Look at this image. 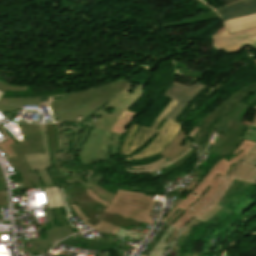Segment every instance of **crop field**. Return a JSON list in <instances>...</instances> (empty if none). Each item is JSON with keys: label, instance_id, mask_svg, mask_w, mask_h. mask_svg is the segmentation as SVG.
Listing matches in <instances>:
<instances>
[{"label": "crop field", "instance_id": "obj_21", "mask_svg": "<svg viewBox=\"0 0 256 256\" xmlns=\"http://www.w3.org/2000/svg\"><path fill=\"white\" fill-rule=\"evenodd\" d=\"M60 243H64V244H68V245H72V246L96 249V250H100V251H109V252H111V249L113 247V244L97 242V241L79 237L77 235L67 238V239L61 241Z\"/></svg>", "mask_w": 256, "mask_h": 256}, {"label": "crop field", "instance_id": "obj_16", "mask_svg": "<svg viewBox=\"0 0 256 256\" xmlns=\"http://www.w3.org/2000/svg\"><path fill=\"white\" fill-rule=\"evenodd\" d=\"M27 141L11 145L17 155L44 152L38 126L19 123Z\"/></svg>", "mask_w": 256, "mask_h": 256}, {"label": "crop field", "instance_id": "obj_37", "mask_svg": "<svg viewBox=\"0 0 256 256\" xmlns=\"http://www.w3.org/2000/svg\"><path fill=\"white\" fill-rule=\"evenodd\" d=\"M35 188H45L37 171L28 173Z\"/></svg>", "mask_w": 256, "mask_h": 256}, {"label": "crop field", "instance_id": "obj_39", "mask_svg": "<svg viewBox=\"0 0 256 256\" xmlns=\"http://www.w3.org/2000/svg\"><path fill=\"white\" fill-rule=\"evenodd\" d=\"M70 207L74 210V212L79 216V218L82 220V222H83L85 225H87V226L93 228V227L87 222L89 219L82 213V211H81L75 204L70 205Z\"/></svg>", "mask_w": 256, "mask_h": 256}, {"label": "crop field", "instance_id": "obj_22", "mask_svg": "<svg viewBox=\"0 0 256 256\" xmlns=\"http://www.w3.org/2000/svg\"><path fill=\"white\" fill-rule=\"evenodd\" d=\"M94 113L92 110L81 106L58 112L59 121H75L83 124L84 120ZM57 122V121H56Z\"/></svg>", "mask_w": 256, "mask_h": 256}, {"label": "crop field", "instance_id": "obj_3", "mask_svg": "<svg viewBox=\"0 0 256 256\" xmlns=\"http://www.w3.org/2000/svg\"><path fill=\"white\" fill-rule=\"evenodd\" d=\"M120 137V134L90 127L82 129L80 141L76 148V151H79L82 165L86 166L112 159L110 155L117 154Z\"/></svg>", "mask_w": 256, "mask_h": 256}, {"label": "crop field", "instance_id": "obj_1", "mask_svg": "<svg viewBox=\"0 0 256 256\" xmlns=\"http://www.w3.org/2000/svg\"><path fill=\"white\" fill-rule=\"evenodd\" d=\"M176 104L177 102L172 100L165 110L157 117L150 129L131 124L124 137L121 155H128L141 147L151 139L155 132L160 134L144 150L133 157L125 159L126 161L143 159L155 155L172 142L181 126L177 122L165 120L164 118Z\"/></svg>", "mask_w": 256, "mask_h": 256}, {"label": "crop field", "instance_id": "obj_56", "mask_svg": "<svg viewBox=\"0 0 256 256\" xmlns=\"http://www.w3.org/2000/svg\"><path fill=\"white\" fill-rule=\"evenodd\" d=\"M2 95H3V92L0 91V98H1Z\"/></svg>", "mask_w": 256, "mask_h": 256}, {"label": "crop field", "instance_id": "obj_29", "mask_svg": "<svg viewBox=\"0 0 256 256\" xmlns=\"http://www.w3.org/2000/svg\"><path fill=\"white\" fill-rule=\"evenodd\" d=\"M44 190L45 201L48 208L64 206L58 187L46 188Z\"/></svg>", "mask_w": 256, "mask_h": 256}, {"label": "crop field", "instance_id": "obj_48", "mask_svg": "<svg viewBox=\"0 0 256 256\" xmlns=\"http://www.w3.org/2000/svg\"><path fill=\"white\" fill-rule=\"evenodd\" d=\"M178 232H179V231L174 228L173 232H172L171 235L167 238V240H166L165 243L170 244V242H171L172 239L177 240V238H178L177 233H178Z\"/></svg>", "mask_w": 256, "mask_h": 256}, {"label": "crop field", "instance_id": "obj_55", "mask_svg": "<svg viewBox=\"0 0 256 256\" xmlns=\"http://www.w3.org/2000/svg\"><path fill=\"white\" fill-rule=\"evenodd\" d=\"M252 126H256V115H255V118H254V120L252 122Z\"/></svg>", "mask_w": 256, "mask_h": 256}, {"label": "crop field", "instance_id": "obj_47", "mask_svg": "<svg viewBox=\"0 0 256 256\" xmlns=\"http://www.w3.org/2000/svg\"><path fill=\"white\" fill-rule=\"evenodd\" d=\"M199 223H200V221H197V220L193 219V220L190 222V224L186 227V229L183 231L182 235L188 237L189 234H190L189 231H191V227H192L193 225H198Z\"/></svg>", "mask_w": 256, "mask_h": 256}, {"label": "crop field", "instance_id": "obj_6", "mask_svg": "<svg viewBox=\"0 0 256 256\" xmlns=\"http://www.w3.org/2000/svg\"><path fill=\"white\" fill-rule=\"evenodd\" d=\"M241 100L248 104L256 101V83L243 87L233 95L223 100L196 125V127L200 129L194 136L193 140L198 148L202 145L203 141L209 134L207 129L211 127L221 116L225 117V115L236 107Z\"/></svg>", "mask_w": 256, "mask_h": 256}, {"label": "crop field", "instance_id": "obj_52", "mask_svg": "<svg viewBox=\"0 0 256 256\" xmlns=\"http://www.w3.org/2000/svg\"><path fill=\"white\" fill-rule=\"evenodd\" d=\"M176 168H178L177 166H175L174 164H172V165H170V166H168V167H166V168H164L167 172H170V171H172V170H174V169H176Z\"/></svg>", "mask_w": 256, "mask_h": 256}, {"label": "crop field", "instance_id": "obj_40", "mask_svg": "<svg viewBox=\"0 0 256 256\" xmlns=\"http://www.w3.org/2000/svg\"><path fill=\"white\" fill-rule=\"evenodd\" d=\"M0 176H2L1 170ZM4 190H6L5 181L3 178H0V206L6 205Z\"/></svg>", "mask_w": 256, "mask_h": 256}, {"label": "crop field", "instance_id": "obj_43", "mask_svg": "<svg viewBox=\"0 0 256 256\" xmlns=\"http://www.w3.org/2000/svg\"><path fill=\"white\" fill-rule=\"evenodd\" d=\"M56 129H57V139H58V151H63L62 137H61V123L56 124Z\"/></svg>", "mask_w": 256, "mask_h": 256}, {"label": "crop field", "instance_id": "obj_25", "mask_svg": "<svg viewBox=\"0 0 256 256\" xmlns=\"http://www.w3.org/2000/svg\"><path fill=\"white\" fill-rule=\"evenodd\" d=\"M44 211H45V213L50 221L51 227H52V229L45 230L47 239L58 242V241L64 239L65 237L73 234L67 229L66 226L56 227L53 225V219H55V218H54V215H53L51 209H45Z\"/></svg>", "mask_w": 256, "mask_h": 256}, {"label": "crop field", "instance_id": "obj_41", "mask_svg": "<svg viewBox=\"0 0 256 256\" xmlns=\"http://www.w3.org/2000/svg\"><path fill=\"white\" fill-rule=\"evenodd\" d=\"M246 128H248L249 130H252V131H256V127L247 126ZM242 137L256 141V133L255 132H251V131L246 132L245 131Z\"/></svg>", "mask_w": 256, "mask_h": 256}, {"label": "crop field", "instance_id": "obj_50", "mask_svg": "<svg viewBox=\"0 0 256 256\" xmlns=\"http://www.w3.org/2000/svg\"><path fill=\"white\" fill-rule=\"evenodd\" d=\"M206 171L195 169L192 175L198 176L203 179V177L206 175Z\"/></svg>", "mask_w": 256, "mask_h": 256}, {"label": "crop field", "instance_id": "obj_9", "mask_svg": "<svg viewBox=\"0 0 256 256\" xmlns=\"http://www.w3.org/2000/svg\"><path fill=\"white\" fill-rule=\"evenodd\" d=\"M58 169L67 183L80 182L85 189L91 188L97 195L111 202L114 194L97 185L106 179L104 174H100L89 166L84 167L82 165H70Z\"/></svg>", "mask_w": 256, "mask_h": 256}, {"label": "crop field", "instance_id": "obj_42", "mask_svg": "<svg viewBox=\"0 0 256 256\" xmlns=\"http://www.w3.org/2000/svg\"><path fill=\"white\" fill-rule=\"evenodd\" d=\"M0 90L21 91V90H26V87H13L0 82Z\"/></svg>", "mask_w": 256, "mask_h": 256}, {"label": "crop field", "instance_id": "obj_33", "mask_svg": "<svg viewBox=\"0 0 256 256\" xmlns=\"http://www.w3.org/2000/svg\"><path fill=\"white\" fill-rule=\"evenodd\" d=\"M0 130L2 131V133L4 134V136L6 137V141H4L3 143L0 144V148L2 149L3 153L5 154V156L8 157H12V156H16L15 153L13 152V150L10 148L9 145L14 144L13 140L6 134L5 130L3 129V127L0 124Z\"/></svg>", "mask_w": 256, "mask_h": 256}, {"label": "crop field", "instance_id": "obj_32", "mask_svg": "<svg viewBox=\"0 0 256 256\" xmlns=\"http://www.w3.org/2000/svg\"><path fill=\"white\" fill-rule=\"evenodd\" d=\"M47 136L50 145V152L57 151V139L55 124H46Z\"/></svg>", "mask_w": 256, "mask_h": 256}, {"label": "crop field", "instance_id": "obj_15", "mask_svg": "<svg viewBox=\"0 0 256 256\" xmlns=\"http://www.w3.org/2000/svg\"><path fill=\"white\" fill-rule=\"evenodd\" d=\"M226 177L221 175H217L216 179L213 181L211 186L206 190V192L202 195V197L195 202L192 206L185 210V212L176 219L171 226L176 228H181L184 226L190 219H192L206 204L210 202L212 197L218 191L222 183L225 181Z\"/></svg>", "mask_w": 256, "mask_h": 256}, {"label": "crop field", "instance_id": "obj_49", "mask_svg": "<svg viewBox=\"0 0 256 256\" xmlns=\"http://www.w3.org/2000/svg\"><path fill=\"white\" fill-rule=\"evenodd\" d=\"M184 211L179 209L168 221H166L165 223L167 224H171L179 215H181Z\"/></svg>", "mask_w": 256, "mask_h": 256}, {"label": "crop field", "instance_id": "obj_18", "mask_svg": "<svg viewBox=\"0 0 256 256\" xmlns=\"http://www.w3.org/2000/svg\"><path fill=\"white\" fill-rule=\"evenodd\" d=\"M223 21L243 15L256 13V0H243L216 10Z\"/></svg>", "mask_w": 256, "mask_h": 256}, {"label": "crop field", "instance_id": "obj_35", "mask_svg": "<svg viewBox=\"0 0 256 256\" xmlns=\"http://www.w3.org/2000/svg\"><path fill=\"white\" fill-rule=\"evenodd\" d=\"M119 226L111 225L106 222L101 221L95 228L94 230L106 232L109 234L115 235L116 232L119 230Z\"/></svg>", "mask_w": 256, "mask_h": 256}, {"label": "crop field", "instance_id": "obj_20", "mask_svg": "<svg viewBox=\"0 0 256 256\" xmlns=\"http://www.w3.org/2000/svg\"><path fill=\"white\" fill-rule=\"evenodd\" d=\"M186 136V133L183 131V129H181V131L178 133L177 137L173 140V142L159 154H161L162 156L166 157L171 161L180 153L184 152L187 147L191 148L193 143L190 141L189 138L183 146L180 145Z\"/></svg>", "mask_w": 256, "mask_h": 256}, {"label": "crop field", "instance_id": "obj_2", "mask_svg": "<svg viewBox=\"0 0 256 256\" xmlns=\"http://www.w3.org/2000/svg\"><path fill=\"white\" fill-rule=\"evenodd\" d=\"M89 197L106 206V212L140 221L143 224L154 225L150 213L155 201L162 202L163 197L145 196L142 193L120 190L114 196L111 203L97 196L91 189L86 190Z\"/></svg>", "mask_w": 256, "mask_h": 256}, {"label": "crop field", "instance_id": "obj_51", "mask_svg": "<svg viewBox=\"0 0 256 256\" xmlns=\"http://www.w3.org/2000/svg\"><path fill=\"white\" fill-rule=\"evenodd\" d=\"M167 247H168V244L163 243V245L160 247V249L155 254V256H161L165 252Z\"/></svg>", "mask_w": 256, "mask_h": 256}, {"label": "crop field", "instance_id": "obj_4", "mask_svg": "<svg viewBox=\"0 0 256 256\" xmlns=\"http://www.w3.org/2000/svg\"><path fill=\"white\" fill-rule=\"evenodd\" d=\"M128 83L123 77L113 82L80 91L67 93L69 100L50 104L52 112L85 105L97 111ZM92 95V97H90ZM104 106V105H103Z\"/></svg>", "mask_w": 256, "mask_h": 256}, {"label": "crop field", "instance_id": "obj_10", "mask_svg": "<svg viewBox=\"0 0 256 256\" xmlns=\"http://www.w3.org/2000/svg\"><path fill=\"white\" fill-rule=\"evenodd\" d=\"M234 179L256 184V166L250 165L242 161L239 166L234 170L232 175L229 176V178L226 180L214 200L205 209H203L195 219L206 222L210 217H212L218 210L222 208L217 204Z\"/></svg>", "mask_w": 256, "mask_h": 256}, {"label": "crop field", "instance_id": "obj_44", "mask_svg": "<svg viewBox=\"0 0 256 256\" xmlns=\"http://www.w3.org/2000/svg\"><path fill=\"white\" fill-rule=\"evenodd\" d=\"M196 152L195 148L190 150L183 158H181L179 161H177L176 164L178 167L182 165L184 162H186L194 153Z\"/></svg>", "mask_w": 256, "mask_h": 256}, {"label": "crop field", "instance_id": "obj_30", "mask_svg": "<svg viewBox=\"0 0 256 256\" xmlns=\"http://www.w3.org/2000/svg\"><path fill=\"white\" fill-rule=\"evenodd\" d=\"M213 19H219V16L215 11L210 12L205 15H200V16H196L193 18L183 20V21H179V22H176L173 24L164 25L163 27L167 28V27H171V26L189 25L191 23L201 22V21H206V20H213Z\"/></svg>", "mask_w": 256, "mask_h": 256}, {"label": "crop field", "instance_id": "obj_28", "mask_svg": "<svg viewBox=\"0 0 256 256\" xmlns=\"http://www.w3.org/2000/svg\"><path fill=\"white\" fill-rule=\"evenodd\" d=\"M40 97L37 98H2L0 108L5 110L19 109L23 104H39Z\"/></svg>", "mask_w": 256, "mask_h": 256}, {"label": "crop field", "instance_id": "obj_5", "mask_svg": "<svg viewBox=\"0 0 256 256\" xmlns=\"http://www.w3.org/2000/svg\"><path fill=\"white\" fill-rule=\"evenodd\" d=\"M249 105L241 103L234 108L230 113L227 114L225 118H220L210 129L211 132L207 139L204 141L203 145L198 149L199 155L204 151L205 147L209 143L212 137V132L219 126L223 127L222 133L226 134L223 140L219 143L217 148L212 152L213 154L220 155L222 153L231 154L232 151L241 143L242 134L246 126L240 125L242 118L249 109Z\"/></svg>", "mask_w": 256, "mask_h": 256}, {"label": "crop field", "instance_id": "obj_53", "mask_svg": "<svg viewBox=\"0 0 256 256\" xmlns=\"http://www.w3.org/2000/svg\"><path fill=\"white\" fill-rule=\"evenodd\" d=\"M222 2V4L225 6V5H228L232 2H235V1H238V0H220Z\"/></svg>", "mask_w": 256, "mask_h": 256}, {"label": "crop field", "instance_id": "obj_23", "mask_svg": "<svg viewBox=\"0 0 256 256\" xmlns=\"http://www.w3.org/2000/svg\"><path fill=\"white\" fill-rule=\"evenodd\" d=\"M188 150H189V148H187V150L184 153L180 154L178 157H176L171 162L168 161L167 159L163 158V159L155 161L149 165L138 166V167H126L124 169L127 172L132 173V174H148V173L154 172L158 169H161V168L175 162L177 159H179L181 156H183Z\"/></svg>", "mask_w": 256, "mask_h": 256}, {"label": "crop field", "instance_id": "obj_31", "mask_svg": "<svg viewBox=\"0 0 256 256\" xmlns=\"http://www.w3.org/2000/svg\"><path fill=\"white\" fill-rule=\"evenodd\" d=\"M137 114L135 113H131V112H126L121 119L115 124V126L112 128V132H117V133H121V134H125L130 123L129 120L131 118L136 117Z\"/></svg>", "mask_w": 256, "mask_h": 256}, {"label": "crop field", "instance_id": "obj_34", "mask_svg": "<svg viewBox=\"0 0 256 256\" xmlns=\"http://www.w3.org/2000/svg\"><path fill=\"white\" fill-rule=\"evenodd\" d=\"M136 229L137 227L135 226H131L129 229L121 227L120 230L117 232L116 236H120V237L127 236L131 238L143 240V238L145 237V234L135 232Z\"/></svg>", "mask_w": 256, "mask_h": 256}, {"label": "crop field", "instance_id": "obj_24", "mask_svg": "<svg viewBox=\"0 0 256 256\" xmlns=\"http://www.w3.org/2000/svg\"><path fill=\"white\" fill-rule=\"evenodd\" d=\"M224 23L230 34H232L244 29L256 27V14L228 20Z\"/></svg>", "mask_w": 256, "mask_h": 256}, {"label": "crop field", "instance_id": "obj_7", "mask_svg": "<svg viewBox=\"0 0 256 256\" xmlns=\"http://www.w3.org/2000/svg\"><path fill=\"white\" fill-rule=\"evenodd\" d=\"M253 146H255V143L243 140L232 153L237 156L228 161L226 159H220L216 164H214L205 178L197 184L196 188L192 190L162 221L165 222L167 219H169L179 208L185 210L193 202L197 201L212 183L217 174L225 176L229 167L233 163L241 160V158L245 156Z\"/></svg>", "mask_w": 256, "mask_h": 256}, {"label": "crop field", "instance_id": "obj_57", "mask_svg": "<svg viewBox=\"0 0 256 256\" xmlns=\"http://www.w3.org/2000/svg\"><path fill=\"white\" fill-rule=\"evenodd\" d=\"M162 172V174H166L167 172L166 171H161Z\"/></svg>", "mask_w": 256, "mask_h": 256}, {"label": "crop field", "instance_id": "obj_46", "mask_svg": "<svg viewBox=\"0 0 256 256\" xmlns=\"http://www.w3.org/2000/svg\"><path fill=\"white\" fill-rule=\"evenodd\" d=\"M54 210H55V212H56V214H57V216H58V218H59L61 224H62V225H66V226L69 228V230L71 231L73 228L67 223L65 217H64V218L62 217L60 209H59V208H56V209H54Z\"/></svg>", "mask_w": 256, "mask_h": 256}, {"label": "crop field", "instance_id": "obj_13", "mask_svg": "<svg viewBox=\"0 0 256 256\" xmlns=\"http://www.w3.org/2000/svg\"><path fill=\"white\" fill-rule=\"evenodd\" d=\"M80 131L81 129L70 127L68 123H62L64 152L50 153L54 167H59L63 161H69L78 158V152H75V148L78 144Z\"/></svg>", "mask_w": 256, "mask_h": 256}, {"label": "crop field", "instance_id": "obj_19", "mask_svg": "<svg viewBox=\"0 0 256 256\" xmlns=\"http://www.w3.org/2000/svg\"><path fill=\"white\" fill-rule=\"evenodd\" d=\"M64 186L69 204L81 201L100 213L105 210V207L87 196L84 188L80 185V183H74Z\"/></svg>", "mask_w": 256, "mask_h": 256}, {"label": "crop field", "instance_id": "obj_38", "mask_svg": "<svg viewBox=\"0 0 256 256\" xmlns=\"http://www.w3.org/2000/svg\"><path fill=\"white\" fill-rule=\"evenodd\" d=\"M64 98H66L64 94L56 95V96H44V97H41L40 105H47L48 102L56 101Z\"/></svg>", "mask_w": 256, "mask_h": 256}, {"label": "crop field", "instance_id": "obj_45", "mask_svg": "<svg viewBox=\"0 0 256 256\" xmlns=\"http://www.w3.org/2000/svg\"><path fill=\"white\" fill-rule=\"evenodd\" d=\"M244 161L256 165V147L254 150L244 159Z\"/></svg>", "mask_w": 256, "mask_h": 256}, {"label": "crop field", "instance_id": "obj_12", "mask_svg": "<svg viewBox=\"0 0 256 256\" xmlns=\"http://www.w3.org/2000/svg\"><path fill=\"white\" fill-rule=\"evenodd\" d=\"M38 126L40 129L41 139L43 142L45 154L44 153L31 154V155H25L24 157L31 171L38 170L46 187L55 186L46 170L49 168H53V166L49 156V146H48V141H47V136L45 131V125L39 124Z\"/></svg>", "mask_w": 256, "mask_h": 256}, {"label": "crop field", "instance_id": "obj_14", "mask_svg": "<svg viewBox=\"0 0 256 256\" xmlns=\"http://www.w3.org/2000/svg\"><path fill=\"white\" fill-rule=\"evenodd\" d=\"M206 86L196 82L191 88L180 83L174 82L167 90L165 96L178 101L177 106L166 117L175 120L182 112L184 107L193 99V97L203 90Z\"/></svg>", "mask_w": 256, "mask_h": 256}, {"label": "crop field", "instance_id": "obj_17", "mask_svg": "<svg viewBox=\"0 0 256 256\" xmlns=\"http://www.w3.org/2000/svg\"><path fill=\"white\" fill-rule=\"evenodd\" d=\"M76 205L83 211V213L90 219L88 222L95 226L99 220L106 221L111 224L123 226L129 228L131 225L139 226L140 222H136L130 219L121 218L109 213H98L95 210L91 209L90 207L86 206L85 204L79 202Z\"/></svg>", "mask_w": 256, "mask_h": 256}, {"label": "crop field", "instance_id": "obj_8", "mask_svg": "<svg viewBox=\"0 0 256 256\" xmlns=\"http://www.w3.org/2000/svg\"><path fill=\"white\" fill-rule=\"evenodd\" d=\"M145 86L130 85L113 97L107 104L102 106L96 113L103 116L95 123L96 128L110 130L117 119L141 97Z\"/></svg>", "mask_w": 256, "mask_h": 256}, {"label": "crop field", "instance_id": "obj_36", "mask_svg": "<svg viewBox=\"0 0 256 256\" xmlns=\"http://www.w3.org/2000/svg\"><path fill=\"white\" fill-rule=\"evenodd\" d=\"M59 188H60V192H61V195H62V199H63L64 205H65V207H63V208L67 211V212H66V213H67L66 219H67L68 223H69L72 227L77 228V230H78L79 232H82V230H80L78 227H76V226L72 223V221L69 219L70 217H72L71 214L69 213L70 211H72V209L69 207V204H68V202H67V200H66L65 191H64V186H63V185H62V186H59Z\"/></svg>", "mask_w": 256, "mask_h": 256}, {"label": "crop field", "instance_id": "obj_27", "mask_svg": "<svg viewBox=\"0 0 256 256\" xmlns=\"http://www.w3.org/2000/svg\"><path fill=\"white\" fill-rule=\"evenodd\" d=\"M7 160L9 162L12 170H17V172L21 173L23 188L24 189L34 188L28 175L26 174V172H28L29 169L26 165V162H25L23 156L13 157V158H9Z\"/></svg>", "mask_w": 256, "mask_h": 256}, {"label": "crop field", "instance_id": "obj_26", "mask_svg": "<svg viewBox=\"0 0 256 256\" xmlns=\"http://www.w3.org/2000/svg\"><path fill=\"white\" fill-rule=\"evenodd\" d=\"M250 183H246V182H241V181H237L234 180L233 183L231 184V186L229 187V189L227 190V192L225 193V195L223 196L222 200L220 201V203L218 205L222 206L223 208L217 212L211 219H209L207 221V223L209 224H214L218 218L225 212V211H230L227 209L225 202L226 200L232 195L234 194L236 191L238 190H242L244 188H246L247 186H249ZM231 212V211H230Z\"/></svg>", "mask_w": 256, "mask_h": 256}, {"label": "crop field", "instance_id": "obj_54", "mask_svg": "<svg viewBox=\"0 0 256 256\" xmlns=\"http://www.w3.org/2000/svg\"><path fill=\"white\" fill-rule=\"evenodd\" d=\"M198 128H195L191 131V133L189 134L191 138H193V136L195 135V133L197 132Z\"/></svg>", "mask_w": 256, "mask_h": 256}, {"label": "crop field", "instance_id": "obj_11", "mask_svg": "<svg viewBox=\"0 0 256 256\" xmlns=\"http://www.w3.org/2000/svg\"><path fill=\"white\" fill-rule=\"evenodd\" d=\"M213 46L228 52H240L246 45L256 49V28L244 30L229 35L225 27L218 30L213 36Z\"/></svg>", "mask_w": 256, "mask_h": 256}]
</instances>
